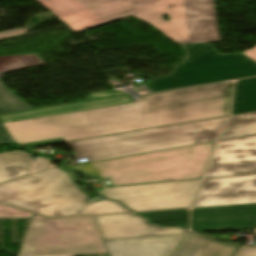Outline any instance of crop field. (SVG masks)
<instances>
[{
  "mask_svg": "<svg viewBox=\"0 0 256 256\" xmlns=\"http://www.w3.org/2000/svg\"><path fill=\"white\" fill-rule=\"evenodd\" d=\"M43 62L35 54L0 56V77L6 71L41 65ZM31 109L29 105L11 94L0 82V114ZM13 140L0 122V143H11Z\"/></svg>",
  "mask_w": 256,
  "mask_h": 256,
  "instance_id": "cbeb9de0",
  "label": "crop field"
},
{
  "mask_svg": "<svg viewBox=\"0 0 256 256\" xmlns=\"http://www.w3.org/2000/svg\"><path fill=\"white\" fill-rule=\"evenodd\" d=\"M107 253L90 217L48 219L32 215L17 256Z\"/></svg>",
  "mask_w": 256,
  "mask_h": 256,
  "instance_id": "dd49c442",
  "label": "crop field"
},
{
  "mask_svg": "<svg viewBox=\"0 0 256 256\" xmlns=\"http://www.w3.org/2000/svg\"><path fill=\"white\" fill-rule=\"evenodd\" d=\"M256 111V78L236 82L232 115Z\"/></svg>",
  "mask_w": 256,
  "mask_h": 256,
  "instance_id": "733c2abd",
  "label": "crop field"
},
{
  "mask_svg": "<svg viewBox=\"0 0 256 256\" xmlns=\"http://www.w3.org/2000/svg\"><path fill=\"white\" fill-rule=\"evenodd\" d=\"M255 230V232H256V229H254Z\"/></svg>",
  "mask_w": 256,
  "mask_h": 256,
  "instance_id": "730fd06b",
  "label": "crop field"
},
{
  "mask_svg": "<svg viewBox=\"0 0 256 256\" xmlns=\"http://www.w3.org/2000/svg\"><path fill=\"white\" fill-rule=\"evenodd\" d=\"M184 234L103 240L110 256H169Z\"/></svg>",
  "mask_w": 256,
  "mask_h": 256,
  "instance_id": "22f410ed",
  "label": "crop field"
},
{
  "mask_svg": "<svg viewBox=\"0 0 256 256\" xmlns=\"http://www.w3.org/2000/svg\"><path fill=\"white\" fill-rule=\"evenodd\" d=\"M31 173L28 153L22 151L0 154V182Z\"/></svg>",
  "mask_w": 256,
  "mask_h": 256,
  "instance_id": "d9b57169",
  "label": "crop field"
},
{
  "mask_svg": "<svg viewBox=\"0 0 256 256\" xmlns=\"http://www.w3.org/2000/svg\"><path fill=\"white\" fill-rule=\"evenodd\" d=\"M75 174L61 167L0 184V203L44 216H73L90 196L73 183Z\"/></svg>",
  "mask_w": 256,
  "mask_h": 256,
  "instance_id": "f4fd0767",
  "label": "crop field"
},
{
  "mask_svg": "<svg viewBox=\"0 0 256 256\" xmlns=\"http://www.w3.org/2000/svg\"><path fill=\"white\" fill-rule=\"evenodd\" d=\"M181 46L187 57L171 75L146 84L152 92L256 76V62L241 53L218 54L208 43Z\"/></svg>",
  "mask_w": 256,
  "mask_h": 256,
  "instance_id": "e52e79f7",
  "label": "crop field"
},
{
  "mask_svg": "<svg viewBox=\"0 0 256 256\" xmlns=\"http://www.w3.org/2000/svg\"><path fill=\"white\" fill-rule=\"evenodd\" d=\"M29 28H30V26L29 27L17 28V29H12V30H8V31L0 32V38H4V37H8V36H13V35L24 33Z\"/></svg>",
  "mask_w": 256,
  "mask_h": 256,
  "instance_id": "00972430",
  "label": "crop field"
},
{
  "mask_svg": "<svg viewBox=\"0 0 256 256\" xmlns=\"http://www.w3.org/2000/svg\"><path fill=\"white\" fill-rule=\"evenodd\" d=\"M49 167L48 161H45L41 158L37 159V161L34 164L33 172L45 170Z\"/></svg>",
  "mask_w": 256,
  "mask_h": 256,
  "instance_id": "a9b5d70f",
  "label": "crop field"
},
{
  "mask_svg": "<svg viewBox=\"0 0 256 256\" xmlns=\"http://www.w3.org/2000/svg\"><path fill=\"white\" fill-rule=\"evenodd\" d=\"M256 203V175L204 179L193 208Z\"/></svg>",
  "mask_w": 256,
  "mask_h": 256,
  "instance_id": "3316defc",
  "label": "crop field"
},
{
  "mask_svg": "<svg viewBox=\"0 0 256 256\" xmlns=\"http://www.w3.org/2000/svg\"><path fill=\"white\" fill-rule=\"evenodd\" d=\"M237 245L186 234L173 256H232Z\"/></svg>",
  "mask_w": 256,
  "mask_h": 256,
  "instance_id": "5142ce71",
  "label": "crop field"
},
{
  "mask_svg": "<svg viewBox=\"0 0 256 256\" xmlns=\"http://www.w3.org/2000/svg\"><path fill=\"white\" fill-rule=\"evenodd\" d=\"M235 256H256V248L249 246H241Z\"/></svg>",
  "mask_w": 256,
  "mask_h": 256,
  "instance_id": "dafd665d",
  "label": "crop field"
},
{
  "mask_svg": "<svg viewBox=\"0 0 256 256\" xmlns=\"http://www.w3.org/2000/svg\"><path fill=\"white\" fill-rule=\"evenodd\" d=\"M124 211H130V210L121 206L116 202L105 199L104 201L90 204L79 215L124 212Z\"/></svg>",
  "mask_w": 256,
  "mask_h": 256,
  "instance_id": "214f88e0",
  "label": "crop field"
},
{
  "mask_svg": "<svg viewBox=\"0 0 256 256\" xmlns=\"http://www.w3.org/2000/svg\"><path fill=\"white\" fill-rule=\"evenodd\" d=\"M220 117L176 126L66 143L75 158L88 161L216 140L226 119Z\"/></svg>",
  "mask_w": 256,
  "mask_h": 256,
  "instance_id": "412701ff",
  "label": "crop field"
},
{
  "mask_svg": "<svg viewBox=\"0 0 256 256\" xmlns=\"http://www.w3.org/2000/svg\"><path fill=\"white\" fill-rule=\"evenodd\" d=\"M101 238L186 233L181 228L158 227L134 214H116L91 217Z\"/></svg>",
  "mask_w": 256,
  "mask_h": 256,
  "instance_id": "d1516ede",
  "label": "crop field"
},
{
  "mask_svg": "<svg viewBox=\"0 0 256 256\" xmlns=\"http://www.w3.org/2000/svg\"><path fill=\"white\" fill-rule=\"evenodd\" d=\"M200 180L105 188L102 197L133 211L190 207Z\"/></svg>",
  "mask_w": 256,
  "mask_h": 256,
  "instance_id": "d8731c3e",
  "label": "crop field"
},
{
  "mask_svg": "<svg viewBox=\"0 0 256 256\" xmlns=\"http://www.w3.org/2000/svg\"><path fill=\"white\" fill-rule=\"evenodd\" d=\"M75 32L128 16L177 44L220 41L214 0H37ZM168 14L170 21L161 15Z\"/></svg>",
  "mask_w": 256,
  "mask_h": 256,
  "instance_id": "ac0d7876",
  "label": "crop field"
},
{
  "mask_svg": "<svg viewBox=\"0 0 256 256\" xmlns=\"http://www.w3.org/2000/svg\"><path fill=\"white\" fill-rule=\"evenodd\" d=\"M242 53L256 61V46L254 48H252L248 51H244Z\"/></svg>",
  "mask_w": 256,
  "mask_h": 256,
  "instance_id": "4177f3b9",
  "label": "crop field"
},
{
  "mask_svg": "<svg viewBox=\"0 0 256 256\" xmlns=\"http://www.w3.org/2000/svg\"><path fill=\"white\" fill-rule=\"evenodd\" d=\"M231 89V82H222L137 102L109 90L84 101L1 114L0 120L15 143L33 147L229 115Z\"/></svg>",
  "mask_w": 256,
  "mask_h": 256,
  "instance_id": "8a807250",
  "label": "crop field"
},
{
  "mask_svg": "<svg viewBox=\"0 0 256 256\" xmlns=\"http://www.w3.org/2000/svg\"><path fill=\"white\" fill-rule=\"evenodd\" d=\"M192 211L191 228L197 231L256 228V205Z\"/></svg>",
  "mask_w": 256,
  "mask_h": 256,
  "instance_id": "28ad6ade",
  "label": "crop field"
},
{
  "mask_svg": "<svg viewBox=\"0 0 256 256\" xmlns=\"http://www.w3.org/2000/svg\"><path fill=\"white\" fill-rule=\"evenodd\" d=\"M137 214L145 215L149 218L150 223H155L157 225H177L188 228L189 211L187 210L144 212Z\"/></svg>",
  "mask_w": 256,
  "mask_h": 256,
  "instance_id": "bc2a9ffb",
  "label": "crop field"
},
{
  "mask_svg": "<svg viewBox=\"0 0 256 256\" xmlns=\"http://www.w3.org/2000/svg\"><path fill=\"white\" fill-rule=\"evenodd\" d=\"M215 142L70 166L113 186L200 178Z\"/></svg>",
  "mask_w": 256,
  "mask_h": 256,
  "instance_id": "34b2d1b8",
  "label": "crop field"
},
{
  "mask_svg": "<svg viewBox=\"0 0 256 256\" xmlns=\"http://www.w3.org/2000/svg\"><path fill=\"white\" fill-rule=\"evenodd\" d=\"M31 215V213L0 205V218H24L31 217Z\"/></svg>",
  "mask_w": 256,
  "mask_h": 256,
  "instance_id": "92a150f3",
  "label": "crop field"
},
{
  "mask_svg": "<svg viewBox=\"0 0 256 256\" xmlns=\"http://www.w3.org/2000/svg\"><path fill=\"white\" fill-rule=\"evenodd\" d=\"M247 174H256V135L218 141L204 178Z\"/></svg>",
  "mask_w": 256,
  "mask_h": 256,
  "instance_id": "5a996713",
  "label": "crop field"
},
{
  "mask_svg": "<svg viewBox=\"0 0 256 256\" xmlns=\"http://www.w3.org/2000/svg\"><path fill=\"white\" fill-rule=\"evenodd\" d=\"M256 134V112L231 116L221 139Z\"/></svg>",
  "mask_w": 256,
  "mask_h": 256,
  "instance_id": "4a817a6b",
  "label": "crop field"
}]
</instances>
